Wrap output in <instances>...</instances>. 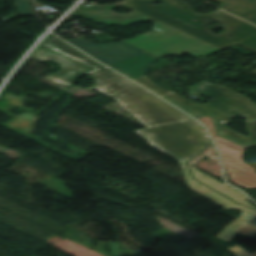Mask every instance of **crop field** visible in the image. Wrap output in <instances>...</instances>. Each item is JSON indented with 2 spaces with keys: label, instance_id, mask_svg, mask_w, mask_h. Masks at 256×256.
I'll return each instance as SVG.
<instances>
[{
  "label": "crop field",
  "instance_id": "1",
  "mask_svg": "<svg viewBox=\"0 0 256 256\" xmlns=\"http://www.w3.org/2000/svg\"><path fill=\"white\" fill-rule=\"evenodd\" d=\"M52 36L34 54L41 60H55L62 67L46 79L71 85L78 77L89 74L96 84L87 89L115 98L148 127L135 132L180 163L186 164L210 145L200 124Z\"/></svg>",
  "mask_w": 256,
  "mask_h": 256
},
{
  "label": "crop field",
  "instance_id": "2",
  "mask_svg": "<svg viewBox=\"0 0 256 256\" xmlns=\"http://www.w3.org/2000/svg\"><path fill=\"white\" fill-rule=\"evenodd\" d=\"M153 1L155 0H125L121 3L222 49L237 43L256 52V27L241 19L219 9L207 15H198L181 0H161L162 5L151 4ZM208 16L223 23L225 31L214 35L206 24L205 18ZM251 72L256 75V69Z\"/></svg>",
  "mask_w": 256,
  "mask_h": 256
},
{
  "label": "crop field",
  "instance_id": "3",
  "mask_svg": "<svg viewBox=\"0 0 256 256\" xmlns=\"http://www.w3.org/2000/svg\"><path fill=\"white\" fill-rule=\"evenodd\" d=\"M135 81L154 91L162 98L183 109L195 118L212 115L218 135L245 148L256 144V104L250 103L251 99L239 95L221 85H213L203 81L199 83L196 90L214 100L204 105H198L172 91L153 84L146 76ZM238 114L248 119L247 124L251 133V136L248 138L222 127L229 119Z\"/></svg>",
  "mask_w": 256,
  "mask_h": 256
},
{
  "label": "crop field",
  "instance_id": "4",
  "mask_svg": "<svg viewBox=\"0 0 256 256\" xmlns=\"http://www.w3.org/2000/svg\"><path fill=\"white\" fill-rule=\"evenodd\" d=\"M126 42L158 57L167 55L177 57L186 54L196 58H204L222 50L160 21L155 23L152 32ZM193 48L198 51L192 50Z\"/></svg>",
  "mask_w": 256,
  "mask_h": 256
},
{
  "label": "crop field",
  "instance_id": "5",
  "mask_svg": "<svg viewBox=\"0 0 256 256\" xmlns=\"http://www.w3.org/2000/svg\"><path fill=\"white\" fill-rule=\"evenodd\" d=\"M198 120L207 125L214 141L219 146L221 158L225 169L231 176V182L245 189L256 188V171L242 160L244 148L217 136L211 116Z\"/></svg>",
  "mask_w": 256,
  "mask_h": 256
},
{
  "label": "crop field",
  "instance_id": "6",
  "mask_svg": "<svg viewBox=\"0 0 256 256\" xmlns=\"http://www.w3.org/2000/svg\"><path fill=\"white\" fill-rule=\"evenodd\" d=\"M67 41L106 65L145 52L123 41L119 43L100 44L98 46L84 39Z\"/></svg>",
  "mask_w": 256,
  "mask_h": 256
},
{
  "label": "crop field",
  "instance_id": "7",
  "mask_svg": "<svg viewBox=\"0 0 256 256\" xmlns=\"http://www.w3.org/2000/svg\"><path fill=\"white\" fill-rule=\"evenodd\" d=\"M186 182L188 184V187L204 196L207 198L211 199L212 201L216 202L217 204L221 205L222 207L228 209V208H243V212L241 214V218L251 221L254 217H256V211L249 209L247 207L241 206L228 198L224 197L223 195L213 191L212 189L200 184L199 182L193 180L191 178V175L188 171V168L186 165L181 164Z\"/></svg>",
  "mask_w": 256,
  "mask_h": 256
},
{
  "label": "crop field",
  "instance_id": "8",
  "mask_svg": "<svg viewBox=\"0 0 256 256\" xmlns=\"http://www.w3.org/2000/svg\"><path fill=\"white\" fill-rule=\"evenodd\" d=\"M157 59L158 57L145 52L109 66L135 80L144 76L148 66Z\"/></svg>",
  "mask_w": 256,
  "mask_h": 256
},
{
  "label": "crop field",
  "instance_id": "9",
  "mask_svg": "<svg viewBox=\"0 0 256 256\" xmlns=\"http://www.w3.org/2000/svg\"><path fill=\"white\" fill-rule=\"evenodd\" d=\"M189 166L194 179L201 181L202 183L208 185L209 187L217 190L218 192L224 194L225 196L229 197L230 199L240 204L255 208L247 201V197H245L240 191L230 187L227 184H223L213 179L211 176L204 174L201 171L195 169L194 166H191V165Z\"/></svg>",
  "mask_w": 256,
  "mask_h": 256
},
{
  "label": "crop field",
  "instance_id": "10",
  "mask_svg": "<svg viewBox=\"0 0 256 256\" xmlns=\"http://www.w3.org/2000/svg\"><path fill=\"white\" fill-rule=\"evenodd\" d=\"M222 5L218 8L243 17L256 24V0H214ZM231 13V14H232Z\"/></svg>",
  "mask_w": 256,
  "mask_h": 256
},
{
  "label": "crop field",
  "instance_id": "11",
  "mask_svg": "<svg viewBox=\"0 0 256 256\" xmlns=\"http://www.w3.org/2000/svg\"><path fill=\"white\" fill-rule=\"evenodd\" d=\"M118 7H124V8H127V9H131L127 6H124L120 3H117L113 6H111V5H104V6L94 5V6H88V7H78L76 9V11L84 13L88 16L93 17V18L123 16V15H119V14H116V13L112 12L113 10L117 9ZM131 10H133V12L130 13V14H126V16L133 17V16H137V15L142 14L141 12L136 11L134 9H131Z\"/></svg>",
  "mask_w": 256,
  "mask_h": 256
},
{
  "label": "crop field",
  "instance_id": "12",
  "mask_svg": "<svg viewBox=\"0 0 256 256\" xmlns=\"http://www.w3.org/2000/svg\"><path fill=\"white\" fill-rule=\"evenodd\" d=\"M247 221L242 219H237L231 224H229L225 229H223L217 237L222 240L230 242L235 233L240 230L243 226H245ZM239 234H242L247 237L254 238L256 236V220L246 226Z\"/></svg>",
  "mask_w": 256,
  "mask_h": 256
},
{
  "label": "crop field",
  "instance_id": "13",
  "mask_svg": "<svg viewBox=\"0 0 256 256\" xmlns=\"http://www.w3.org/2000/svg\"><path fill=\"white\" fill-rule=\"evenodd\" d=\"M69 15L73 16V17H75V16H83V15H81L79 13H76V12H73V13H71ZM83 17H85V16H83ZM85 18H87V17H85ZM150 20H154V18H151L149 16L143 15L141 17H137V18H133V19L126 18V17H119V18H113V19L92 20V21H95L97 23L104 22V23H106L108 25L114 24V23H118L120 25H128V24H132V23H136V22H146V21H150Z\"/></svg>",
  "mask_w": 256,
  "mask_h": 256
},
{
  "label": "crop field",
  "instance_id": "14",
  "mask_svg": "<svg viewBox=\"0 0 256 256\" xmlns=\"http://www.w3.org/2000/svg\"><path fill=\"white\" fill-rule=\"evenodd\" d=\"M109 244L113 256H150L148 254L121 249L119 242H111Z\"/></svg>",
  "mask_w": 256,
  "mask_h": 256
},
{
  "label": "crop field",
  "instance_id": "15",
  "mask_svg": "<svg viewBox=\"0 0 256 256\" xmlns=\"http://www.w3.org/2000/svg\"><path fill=\"white\" fill-rule=\"evenodd\" d=\"M208 156L212 158L213 160L218 162L217 156H216V150L214 149L213 146H209L202 154H200L197 158H195L192 162L189 164L194 165L196 162H198L202 157Z\"/></svg>",
  "mask_w": 256,
  "mask_h": 256
},
{
  "label": "crop field",
  "instance_id": "16",
  "mask_svg": "<svg viewBox=\"0 0 256 256\" xmlns=\"http://www.w3.org/2000/svg\"><path fill=\"white\" fill-rule=\"evenodd\" d=\"M29 0H17L19 12L32 15L30 10V5L28 3Z\"/></svg>",
  "mask_w": 256,
  "mask_h": 256
},
{
  "label": "crop field",
  "instance_id": "17",
  "mask_svg": "<svg viewBox=\"0 0 256 256\" xmlns=\"http://www.w3.org/2000/svg\"><path fill=\"white\" fill-rule=\"evenodd\" d=\"M232 253L236 254L237 256H255L253 254H248L244 252L239 246L228 248Z\"/></svg>",
  "mask_w": 256,
  "mask_h": 256
},
{
  "label": "crop field",
  "instance_id": "18",
  "mask_svg": "<svg viewBox=\"0 0 256 256\" xmlns=\"http://www.w3.org/2000/svg\"><path fill=\"white\" fill-rule=\"evenodd\" d=\"M256 254V253H255Z\"/></svg>",
  "mask_w": 256,
  "mask_h": 256
}]
</instances>
